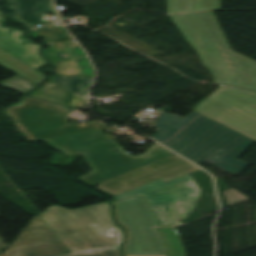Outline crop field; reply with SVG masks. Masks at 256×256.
Returning a JSON list of instances; mask_svg holds the SVG:
<instances>
[{"label":"crop field","mask_w":256,"mask_h":256,"mask_svg":"<svg viewBox=\"0 0 256 256\" xmlns=\"http://www.w3.org/2000/svg\"><path fill=\"white\" fill-rule=\"evenodd\" d=\"M11 9L14 10L12 18L27 26L31 32L51 29V25L37 28L35 25L43 24L39 19L42 14L57 13L51 4V0H8Z\"/></svg>","instance_id":"d1516ede"},{"label":"crop field","mask_w":256,"mask_h":256,"mask_svg":"<svg viewBox=\"0 0 256 256\" xmlns=\"http://www.w3.org/2000/svg\"><path fill=\"white\" fill-rule=\"evenodd\" d=\"M194 178L189 175L164 183L160 180L112 198L113 200L145 194L151 206L188 199L195 190Z\"/></svg>","instance_id":"3316defc"},{"label":"crop field","mask_w":256,"mask_h":256,"mask_svg":"<svg viewBox=\"0 0 256 256\" xmlns=\"http://www.w3.org/2000/svg\"><path fill=\"white\" fill-rule=\"evenodd\" d=\"M180 12L179 0H168V13Z\"/></svg>","instance_id":"00972430"},{"label":"crop field","mask_w":256,"mask_h":256,"mask_svg":"<svg viewBox=\"0 0 256 256\" xmlns=\"http://www.w3.org/2000/svg\"><path fill=\"white\" fill-rule=\"evenodd\" d=\"M154 126L158 131L152 138L197 164L213 162L232 174H240L248 165L236 159L255 142L196 111L185 119L163 112Z\"/></svg>","instance_id":"8a807250"},{"label":"crop field","mask_w":256,"mask_h":256,"mask_svg":"<svg viewBox=\"0 0 256 256\" xmlns=\"http://www.w3.org/2000/svg\"><path fill=\"white\" fill-rule=\"evenodd\" d=\"M54 79L58 83L84 98L93 78L56 75Z\"/></svg>","instance_id":"d9b57169"},{"label":"crop field","mask_w":256,"mask_h":256,"mask_svg":"<svg viewBox=\"0 0 256 256\" xmlns=\"http://www.w3.org/2000/svg\"><path fill=\"white\" fill-rule=\"evenodd\" d=\"M66 251L60 240L36 216L9 251L0 256H45Z\"/></svg>","instance_id":"5a996713"},{"label":"crop field","mask_w":256,"mask_h":256,"mask_svg":"<svg viewBox=\"0 0 256 256\" xmlns=\"http://www.w3.org/2000/svg\"><path fill=\"white\" fill-rule=\"evenodd\" d=\"M0 65L34 83L38 80L36 76L37 70L26 65L2 49H0Z\"/></svg>","instance_id":"5142ce71"},{"label":"crop field","mask_w":256,"mask_h":256,"mask_svg":"<svg viewBox=\"0 0 256 256\" xmlns=\"http://www.w3.org/2000/svg\"><path fill=\"white\" fill-rule=\"evenodd\" d=\"M117 221L128 231L125 255H167L162 237L142 195L115 200Z\"/></svg>","instance_id":"dd49c442"},{"label":"crop field","mask_w":256,"mask_h":256,"mask_svg":"<svg viewBox=\"0 0 256 256\" xmlns=\"http://www.w3.org/2000/svg\"><path fill=\"white\" fill-rule=\"evenodd\" d=\"M4 22V14L0 11V48L35 69L47 65L39 54L42 46L23 37L25 33L22 30L2 27Z\"/></svg>","instance_id":"28ad6ade"},{"label":"crop field","mask_w":256,"mask_h":256,"mask_svg":"<svg viewBox=\"0 0 256 256\" xmlns=\"http://www.w3.org/2000/svg\"><path fill=\"white\" fill-rule=\"evenodd\" d=\"M0 85H2L4 87H7L9 89H12L16 92L23 93V94L27 93L31 89L38 86V85L20 77V76H17V77H15V78H13L9 81H6V82H4Z\"/></svg>","instance_id":"92a150f3"},{"label":"crop field","mask_w":256,"mask_h":256,"mask_svg":"<svg viewBox=\"0 0 256 256\" xmlns=\"http://www.w3.org/2000/svg\"><path fill=\"white\" fill-rule=\"evenodd\" d=\"M58 50H60V49H58ZM72 50H73L76 58L84 56L83 52L80 50L79 47H74V48H72ZM58 52H59V55H60L61 59H68V58H70L68 53H67V51H66V49L58 51ZM78 61H79V65H80V68L82 70L83 75L84 76H93V72H92V69H91V67H90V65L88 63L87 58L86 57L79 58ZM74 74H78V69H74Z\"/></svg>","instance_id":"214f88e0"},{"label":"crop field","mask_w":256,"mask_h":256,"mask_svg":"<svg viewBox=\"0 0 256 256\" xmlns=\"http://www.w3.org/2000/svg\"><path fill=\"white\" fill-rule=\"evenodd\" d=\"M40 216L72 253L54 256H122L124 232L112 222L109 203L76 211L54 205Z\"/></svg>","instance_id":"ac0d7876"},{"label":"crop field","mask_w":256,"mask_h":256,"mask_svg":"<svg viewBox=\"0 0 256 256\" xmlns=\"http://www.w3.org/2000/svg\"><path fill=\"white\" fill-rule=\"evenodd\" d=\"M163 237L168 256H185L180 237L175 228H157Z\"/></svg>","instance_id":"733c2abd"},{"label":"crop field","mask_w":256,"mask_h":256,"mask_svg":"<svg viewBox=\"0 0 256 256\" xmlns=\"http://www.w3.org/2000/svg\"><path fill=\"white\" fill-rule=\"evenodd\" d=\"M175 25L191 45L203 43L191 30L183 14L170 15Z\"/></svg>","instance_id":"bc2a9ffb"},{"label":"crop field","mask_w":256,"mask_h":256,"mask_svg":"<svg viewBox=\"0 0 256 256\" xmlns=\"http://www.w3.org/2000/svg\"><path fill=\"white\" fill-rule=\"evenodd\" d=\"M68 111V107L28 97L5 110L15 121L16 129L30 141L106 128L97 121L71 125L67 120Z\"/></svg>","instance_id":"f4fd0767"},{"label":"crop field","mask_w":256,"mask_h":256,"mask_svg":"<svg viewBox=\"0 0 256 256\" xmlns=\"http://www.w3.org/2000/svg\"><path fill=\"white\" fill-rule=\"evenodd\" d=\"M40 141H45L66 156L75 154L83 156L92 170L78 179L92 187L104 180L173 154L155 143L144 154L133 157L114 140L106 137L101 130Z\"/></svg>","instance_id":"34b2d1b8"},{"label":"crop field","mask_w":256,"mask_h":256,"mask_svg":"<svg viewBox=\"0 0 256 256\" xmlns=\"http://www.w3.org/2000/svg\"><path fill=\"white\" fill-rule=\"evenodd\" d=\"M181 12L221 9L220 0H180Z\"/></svg>","instance_id":"4a817a6b"},{"label":"crop field","mask_w":256,"mask_h":256,"mask_svg":"<svg viewBox=\"0 0 256 256\" xmlns=\"http://www.w3.org/2000/svg\"><path fill=\"white\" fill-rule=\"evenodd\" d=\"M29 35V34H28ZM29 36H33L32 38H36V37H40V38H44L45 39V37H43V36H41V35H38V34H35V33H31ZM43 42H45V41H43ZM49 42V41H48ZM47 42V43H48ZM49 44V43H48ZM48 46H50V49H51V44H49ZM50 49L49 50H47V51H44V55L46 56V58H48V59H50V57L48 56V52L50 51ZM51 60V59H50ZM50 66H52V67H54V66H56V64H55V62L54 61H52L51 60V65ZM54 70H55V68H54ZM54 70L53 71H47V73H50V72H54Z\"/></svg>","instance_id":"a9b5d70f"},{"label":"crop field","mask_w":256,"mask_h":256,"mask_svg":"<svg viewBox=\"0 0 256 256\" xmlns=\"http://www.w3.org/2000/svg\"><path fill=\"white\" fill-rule=\"evenodd\" d=\"M197 169L199 168L174 155L113 178L96 188L114 197L157 179L167 182Z\"/></svg>","instance_id":"d8731c3e"},{"label":"crop field","mask_w":256,"mask_h":256,"mask_svg":"<svg viewBox=\"0 0 256 256\" xmlns=\"http://www.w3.org/2000/svg\"><path fill=\"white\" fill-rule=\"evenodd\" d=\"M193 110L256 141V93L220 86Z\"/></svg>","instance_id":"e52e79f7"},{"label":"crop field","mask_w":256,"mask_h":256,"mask_svg":"<svg viewBox=\"0 0 256 256\" xmlns=\"http://www.w3.org/2000/svg\"><path fill=\"white\" fill-rule=\"evenodd\" d=\"M30 97L77 109L83 108L85 102L83 98L79 97L58 83L44 91L42 95L37 96L32 94ZM77 102L82 103L81 106H76Z\"/></svg>","instance_id":"cbeb9de0"},{"label":"crop field","mask_w":256,"mask_h":256,"mask_svg":"<svg viewBox=\"0 0 256 256\" xmlns=\"http://www.w3.org/2000/svg\"><path fill=\"white\" fill-rule=\"evenodd\" d=\"M196 185V183H195ZM201 195V189L196 185V190L190 196L188 200L174 202L164 205L153 206V210L160 222L163 226H174L179 224L177 217L180 216L181 218L188 217V214L192 212L194 208H196V202ZM189 206V207H187ZM164 208L170 222L172 225L169 224L162 208Z\"/></svg>","instance_id":"22f410ed"},{"label":"crop field","mask_w":256,"mask_h":256,"mask_svg":"<svg viewBox=\"0 0 256 256\" xmlns=\"http://www.w3.org/2000/svg\"><path fill=\"white\" fill-rule=\"evenodd\" d=\"M193 32L205 43L192 46L215 83L256 90V61L233 52L212 12L184 14Z\"/></svg>","instance_id":"412701ff"},{"label":"crop field","mask_w":256,"mask_h":256,"mask_svg":"<svg viewBox=\"0 0 256 256\" xmlns=\"http://www.w3.org/2000/svg\"><path fill=\"white\" fill-rule=\"evenodd\" d=\"M224 193L228 199L229 206L251 200L250 198L246 197L245 195L239 193L232 188L225 191Z\"/></svg>","instance_id":"dafd665d"}]
</instances>
